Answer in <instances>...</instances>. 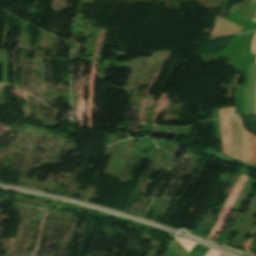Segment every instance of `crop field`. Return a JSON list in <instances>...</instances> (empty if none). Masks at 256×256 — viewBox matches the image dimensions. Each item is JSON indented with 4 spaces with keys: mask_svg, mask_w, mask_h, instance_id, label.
<instances>
[{
    "mask_svg": "<svg viewBox=\"0 0 256 256\" xmlns=\"http://www.w3.org/2000/svg\"><path fill=\"white\" fill-rule=\"evenodd\" d=\"M242 26L216 16L213 30L210 36H223L227 34L240 33Z\"/></svg>",
    "mask_w": 256,
    "mask_h": 256,
    "instance_id": "1",
    "label": "crop field"
},
{
    "mask_svg": "<svg viewBox=\"0 0 256 256\" xmlns=\"http://www.w3.org/2000/svg\"><path fill=\"white\" fill-rule=\"evenodd\" d=\"M232 129V157L240 160L241 136L238 129L236 117H229Z\"/></svg>",
    "mask_w": 256,
    "mask_h": 256,
    "instance_id": "2",
    "label": "crop field"
},
{
    "mask_svg": "<svg viewBox=\"0 0 256 256\" xmlns=\"http://www.w3.org/2000/svg\"><path fill=\"white\" fill-rule=\"evenodd\" d=\"M237 117L239 129L241 132L242 136V153H241V161L247 163V158H248V149H249V141H248V133L247 130H244L243 124L240 120L239 116Z\"/></svg>",
    "mask_w": 256,
    "mask_h": 256,
    "instance_id": "3",
    "label": "crop field"
},
{
    "mask_svg": "<svg viewBox=\"0 0 256 256\" xmlns=\"http://www.w3.org/2000/svg\"><path fill=\"white\" fill-rule=\"evenodd\" d=\"M224 120V129H225V154L231 156V132L228 118Z\"/></svg>",
    "mask_w": 256,
    "mask_h": 256,
    "instance_id": "4",
    "label": "crop field"
},
{
    "mask_svg": "<svg viewBox=\"0 0 256 256\" xmlns=\"http://www.w3.org/2000/svg\"><path fill=\"white\" fill-rule=\"evenodd\" d=\"M249 141H250V149H249L248 163L256 164V136L250 132H249Z\"/></svg>",
    "mask_w": 256,
    "mask_h": 256,
    "instance_id": "5",
    "label": "crop field"
},
{
    "mask_svg": "<svg viewBox=\"0 0 256 256\" xmlns=\"http://www.w3.org/2000/svg\"><path fill=\"white\" fill-rule=\"evenodd\" d=\"M256 14V0H250L247 6L244 8L240 17L247 18L252 20L254 15Z\"/></svg>",
    "mask_w": 256,
    "mask_h": 256,
    "instance_id": "6",
    "label": "crop field"
},
{
    "mask_svg": "<svg viewBox=\"0 0 256 256\" xmlns=\"http://www.w3.org/2000/svg\"><path fill=\"white\" fill-rule=\"evenodd\" d=\"M177 240L183 245V247L189 252L195 245L196 243H193L188 240L180 239L177 238Z\"/></svg>",
    "mask_w": 256,
    "mask_h": 256,
    "instance_id": "7",
    "label": "crop field"
},
{
    "mask_svg": "<svg viewBox=\"0 0 256 256\" xmlns=\"http://www.w3.org/2000/svg\"><path fill=\"white\" fill-rule=\"evenodd\" d=\"M233 114H234L233 107L219 110V118L229 116V115H233Z\"/></svg>",
    "mask_w": 256,
    "mask_h": 256,
    "instance_id": "8",
    "label": "crop field"
},
{
    "mask_svg": "<svg viewBox=\"0 0 256 256\" xmlns=\"http://www.w3.org/2000/svg\"><path fill=\"white\" fill-rule=\"evenodd\" d=\"M220 133H221V152L224 153V129H223V121L219 120Z\"/></svg>",
    "mask_w": 256,
    "mask_h": 256,
    "instance_id": "9",
    "label": "crop field"
},
{
    "mask_svg": "<svg viewBox=\"0 0 256 256\" xmlns=\"http://www.w3.org/2000/svg\"><path fill=\"white\" fill-rule=\"evenodd\" d=\"M251 54L256 55V32L254 33V36H253V39H252Z\"/></svg>",
    "mask_w": 256,
    "mask_h": 256,
    "instance_id": "10",
    "label": "crop field"
},
{
    "mask_svg": "<svg viewBox=\"0 0 256 256\" xmlns=\"http://www.w3.org/2000/svg\"><path fill=\"white\" fill-rule=\"evenodd\" d=\"M220 252L210 249L205 256H219Z\"/></svg>",
    "mask_w": 256,
    "mask_h": 256,
    "instance_id": "11",
    "label": "crop field"
},
{
    "mask_svg": "<svg viewBox=\"0 0 256 256\" xmlns=\"http://www.w3.org/2000/svg\"><path fill=\"white\" fill-rule=\"evenodd\" d=\"M255 105H256V88H255Z\"/></svg>",
    "mask_w": 256,
    "mask_h": 256,
    "instance_id": "12",
    "label": "crop field"
},
{
    "mask_svg": "<svg viewBox=\"0 0 256 256\" xmlns=\"http://www.w3.org/2000/svg\"><path fill=\"white\" fill-rule=\"evenodd\" d=\"M220 256H225V254L221 253Z\"/></svg>",
    "mask_w": 256,
    "mask_h": 256,
    "instance_id": "13",
    "label": "crop field"
},
{
    "mask_svg": "<svg viewBox=\"0 0 256 256\" xmlns=\"http://www.w3.org/2000/svg\"><path fill=\"white\" fill-rule=\"evenodd\" d=\"M253 21H256V16L254 17Z\"/></svg>",
    "mask_w": 256,
    "mask_h": 256,
    "instance_id": "14",
    "label": "crop field"
},
{
    "mask_svg": "<svg viewBox=\"0 0 256 256\" xmlns=\"http://www.w3.org/2000/svg\"><path fill=\"white\" fill-rule=\"evenodd\" d=\"M256 63V62H255Z\"/></svg>",
    "mask_w": 256,
    "mask_h": 256,
    "instance_id": "15",
    "label": "crop field"
}]
</instances>
